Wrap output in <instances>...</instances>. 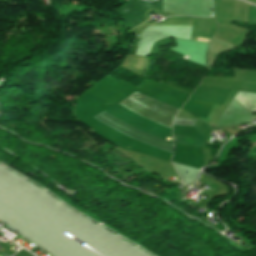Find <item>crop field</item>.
Here are the masks:
<instances>
[{
	"instance_id": "crop-field-1",
	"label": "crop field",
	"mask_w": 256,
	"mask_h": 256,
	"mask_svg": "<svg viewBox=\"0 0 256 256\" xmlns=\"http://www.w3.org/2000/svg\"><path fill=\"white\" fill-rule=\"evenodd\" d=\"M148 119L172 128V121L178 109L165 105L163 103L152 100L137 92L133 93L120 103H118ZM115 130L134 138L143 143L157 147L159 149L173 152V144L152 136L148 133L133 128L124 122L114 118L113 116L103 112L94 117Z\"/></svg>"
},
{
	"instance_id": "crop-field-2",
	"label": "crop field",
	"mask_w": 256,
	"mask_h": 256,
	"mask_svg": "<svg viewBox=\"0 0 256 256\" xmlns=\"http://www.w3.org/2000/svg\"><path fill=\"white\" fill-rule=\"evenodd\" d=\"M174 142L200 147L203 140L173 134Z\"/></svg>"
},
{
	"instance_id": "crop-field-3",
	"label": "crop field",
	"mask_w": 256,
	"mask_h": 256,
	"mask_svg": "<svg viewBox=\"0 0 256 256\" xmlns=\"http://www.w3.org/2000/svg\"><path fill=\"white\" fill-rule=\"evenodd\" d=\"M195 119L176 118L173 125H194Z\"/></svg>"
},
{
	"instance_id": "crop-field-4",
	"label": "crop field",
	"mask_w": 256,
	"mask_h": 256,
	"mask_svg": "<svg viewBox=\"0 0 256 256\" xmlns=\"http://www.w3.org/2000/svg\"><path fill=\"white\" fill-rule=\"evenodd\" d=\"M199 41V40H198Z\"/></svg>"
}]
</instances>
